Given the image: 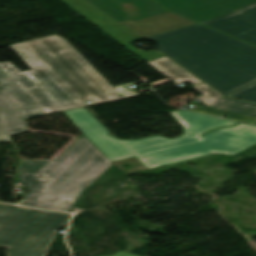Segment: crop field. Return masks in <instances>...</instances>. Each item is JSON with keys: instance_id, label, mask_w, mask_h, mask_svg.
I'll return each instance as SVG.
<instances>
[{"instance_id": "crop-field-1", "label": "crop field", "mask_w": 256, "mask_h": 256, "mask_svg": "<svg viewBox=\"0 0 256 256\" xmlns=\"http://www.w3.org/2000/svg\"><path fill=\"white\" fill-rule=\"evenodd\" d=\"M79 130L111 161L135 156L148 169L213 153L234 155L256 143V127L238 124L201 136L220 126L237 123L186 110L170 115L184 128L178 138L152 136L140 140H117L84 108L65 112Z\"/></svg>"}, {"instance_id": "crop-field-2", "label": "crop field", "mask_w": 256, "mask_h": 256, "mask_svg": "<svg viewBox=\"0 0 256 256\" xmlns=\"http://www.w3.org/2000/svg\"><path fill=\"white\" fill-rule=\"evenodd\" d=\"M9 47L32 70L20 72L10 62L0 68L47 114L117 99L115 89L59 36Z\"/></svg>"}, {"instance_id": "crop-field-3", "label": "crop field", "mask_w": 256, "mask_h": 256, "mask_svg": "<svg viewBox=\"0 0 256 256\" xmlns=\"http://www.w3.org/2000/svg\"><path fill=\"white\" fill-rule=\"evenodd\" d=\"M145 39L223 95L256 81V48L199 24Z\"/></svg>"}, {"instance_id": "crop-field-4", "label": "crop field", "mask_w": 256, "mask_h": 256, "mask_svg": "<svg viewBox=\"0 0 256 256\" xmlns=\"http://www.w3.org/2000/svg\"><path fill=\"white\" fill-rule=\"evenodd\" d=\"M112 165L85 136L54 161L23 160L17 179L27 192L20 204L69 212L81 192Z\"/></svg>"}, {"instance_id": "crop-field-5", "label": "crop field", "mask_w": 256, "mask_h": 256, "mask_svg": "<svg viewBox=\"0 0 256 256\" xmlns=\"http://www.w3.org/2000/svg\"><path fill=\"white\" fill-rule=\"evenodd\" d=\"M67 214L0 205V246L9 256H45Z\"/></svg>"}, {"instance_id": "crop-field-6", "label": "crop field", "mask_w": 256, "mask_h": 256, "mask_svg": "<svg viewBox=\"0 0 256 256\" xmlns=\"http://www.w3.org/2000/svg\"><path fill=\"white\" fill-rule=\"evenodd\" d=\"M141 38L195 24L153 0H86Z\"/></svg>"}, {"instance_id": "crop-field-7", "label": "crop field", "mask_w": 256, "mask_h": 256, "mask_svg": "<svg viewBox=\"0 0 256 256\" xmlns=\"http://www.w3.org/2000/svg\"><path fill=\"white\" fill-rule=\"evenodd\" d=\"M0 143L28 131L23 119L46 114L0 69Z\"/></svg>"}, {"instance_id": "crop-field-8", "label": "crop field", "mask_w": 256, "mask_h": 256, "mask_svg": "<svg viewBox=\"0 0 256 256\" xmlns=\"http://www.w3.org/2000/svg\"><path fill=\"white\" fill-rule=\"evenodd\" d=\"M107 35L124 45L144 62L163 57L159 52L146 53L135 48L130 43L140 39L111 18L100 12L85 0H60Z\"/></svg>"}, {"instance_id": "crop-field-9", "label": "crop field", "mask_w": 256, "mask_h": 256, "mask_svg": "<svg viewBox=\"0 0 256 256\" xmlns=\"http://www.w3.org/2000/svg\"><path fill=\"white\" fill-rule=\"evenodd\" d=\"M168 10L197 22L230 14L256 0H156Z\"/></svg>"}, {"instance_id": "crop-field-10", "label": "crop field", "mask_w": 256, "mask_h": 256, "mask_svg": "<svg viewBox=\"0 0 256 256\" xmlns=\"http://www.w3.org/2000/svg\"><path fill=\"white\" fill-rule=\"evenodd\" d=\"M200 23L256 45V3L230 15Z\"/></svg>"}, {"instance_id": "crop-field-11", "label": "crop field", "mask_w": 256, "mask_h": 256, "mask_svg": "<svg viewBox=\"0 0 256 256\" xmlns=\"http://www.w3.org/2000/svg\"><path fill=\"white\" fill-rule=\"evenodd\" d=\"M149 65L157 69L159 72L177 83L190 82L193 85L202 83L188 72L180 68L178 65L163 57L157 60L148 62Z\"/></svg>"}, {"instance_id": "crop-field-12", "label": "crop field", "mask_w": 256, "mask_h": 256, "mask_svg": "<svg viewBox=\"0 0 256 256\" xmlns=\"http://www.w3.org/2000/svg\"><path fill=\"white\" fill-rule=\"evenodd\" d=\"M212 108L256 118V104L223 97Z\"/></svg>"}, {"instance_id": "crop-field-13", "label": "crop field", "mask_w": 256, "mask_h": 256, "mask_svg": "<svg viewBox=\"0 0 256 256\" xmlns=\"http://www.w3.org/2000/svg\"><path fill=\"white\" fill-rule=\"evenodd\" d=\"M196 91L203 94L200 97H197L199 100H201L204 104H206L208 107L213 105L216 101H218L223 96L219 95L206 85L202 84L196 87H193Z\"/></svg>"}, {"instance_id": "crop-field-14", "label": "crop field", "mask_w": 256, "mask_h": 256, "mask_svg": "<svg viewBox=\"0 0 256 256\" xmlns=\"http://www.w3.org/2000/svg\"><path fill=\"white\" fill-rule=\"evenodd\" d=\"M227 96L256 102V83H253L247 87H244Z\"/></svg>"}, {"instance_id": "crop-field-15", "label": "crop field", "mask_w": 256, "mask_h": 256, "mask_svg": "<svg viewBox=\"0 0 256 256\" xmlns=\"http://www.w3.org/2000/svg\"><path fill=\"white\" fill-rule=\"evenodd\" d=\"M194 111L209 114V115H214V116H219V115L224 114V115L230 116L231 120H235V121H239V122L256 121V119H254V118H249V117H245V116L231 114V113H227V112H223V111H219V110H215V109H211V108L197 109V110H194Z\"/></svg>"}, {"instance_id": "crop-field-16", "label": "crop field", "mask_w": 256, "mask_h": 256, "mask_svg": "<svg viewBox=\"0 0 256 256\" xmlns=\"http://www.w3.org/2000/svg\"><path fill=\"white\" fill-rule=\"evenodd\" d=\"M117 91H118V93H120V94H121L122 96H124V97L131 96L132 94L137 95V93H134V92H132V91H129V90L125 89L123 86L117 88Z\"/></svg>"}, {"instance_id": "crop-field-17", "label": "crop field", "mask_w": 256, "mask_h": 256, "mask_svg": "<svg viewBox=\"0 0 256 256\" xmlns=\"http://www.w3.org/2000/svg\"><path fill=\"white\" fill-rule=\"evenodd\" d=\"M77 139V138H76ZM75 139V140H76ZM74 140V141H75ZM74 141H72L71 143H69L68 145H66L59 153H57L51 160H54L59 154H61L70 144H72Z\"/></svg>"}, {"instance_id": "crop-field-18", "label": "crop field", "mask_w": 256, "mask_h": 256, "mask_svg": "<svg viewBox=\"0 0 256 256\" xmlns=\"http://www.w3.org/2000/svg\"><path fill=\"white\" fill-rule=\"evenodd\" d=\"M114 256H136V255H132V254H128V253L119 252V253L115 254Z\"/></svg>"}, {"instance_id": "crop-field-19", "label": "crop field", "mask_w": 256, "mask_h": 256, "mask_svg": "<svg viewBox=\"0 0 256 256\" xmlns=\"http://www.w3.org/2000/svg\"><path fill=\"white\" fill-rule=\"evenodd\" d=\"M170 80L166 79V80H162V81H159V82H155V83H151V85H156V84H160V83H164V82H169Z\"/></svg>"}, {"instance_id": "crop-field-20", "label": "crop field", "mask_w": 256, "mask_h": 256, "mask_svg": "<svg viewBox=\"0 0 256 256\" xmlns=\"http://www.w3.org/2000/svg\"><path fill=\"white\" fill-rule=\"evenodd\" d=\"M246 123H250V124H255L256 125V123H253V122H246Z\"/></svg>"}]
</instances>
